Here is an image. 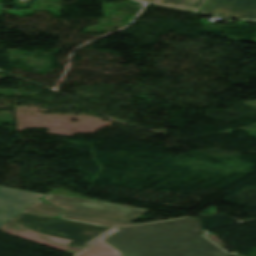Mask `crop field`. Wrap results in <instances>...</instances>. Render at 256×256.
<instances>
[{"instance_id": "obj_1", "label": "crop field", "mask_w": 256, "mask_h": 256, "mask_svg": "<svg viewBox=\"0 0 256 256\" xmlns=\"http://www.w3.org/2000/svg\"><path fill=\"white\" fill-rule=\"evenodd\" d=\"M194 218L121 228L102 239L122 256H218Z\"/></svg>"}, {"instance_id": "obj_2", "label": "crop field", "mask_w": 256, "mask_h": 256, "mask_svg": "<svg viewBox=\"0 0 256 256\" xmlns=\"http://www.w3.org/2000/svg\"><path fill=\"white\" fill-rule=\"evenodd\" d=\"M48 201L67 210L62 218L108 226H122L148 210L48 194Z\"/></svg>"}, {"instance_id": "obj_3", "label": "crop field", "mask_w": 256, "mask_h": 256, "mask_svg": "<svg viewBox=\"0 0 256 256\" xmlns=\"http://www.w3.org/2000/svg\"><path fill=\"white\" fill-rule=\"evenodd\" d=\"M11 220L43 234L73 240L67 246L82 250L117 230L26 213Z\"/></svg>"}, {"instance_id": "obj_4", "label": "crop field", "mask_w": 256, "mask_h": 256, "mask_svg": "<svg viewBox=\"0 0 256 256\" xmlns=\"http://www.w3.org/2000/svg\"><path fill=\"white\" fill-rule=\"evenodd\" d=\"M200 13L256 20V0H208Z\"/></svg>"}, {"instance_id": "obj_5", "label": "crop field", "mask_w": 256, "mask_h": 256, "mask_svg": "<svg viewBox=\"0 0 256 256\" xmlns=\"http://www.w3.org/2000/svg\"><path fill=\"white\" fill-rule=\"evenodd\" d=\"M44 195L0 186V220L8 221Z\"/></svg>"}, {"instance_id": "obj_6", "label": "crop field", "mask_w": 256, "mask_h": 256, "mask_svg": "<svg viewBox=\"0 0 256 256\" xmlns=\"http://www.w3.org/2000/svg\"><path fill=\"white\" fill-rule=\"evenodd\" d=\"M161 6L198 12L207 0H141Z\"/></svg>"}, {"instance_id": "obj_7", "label": "crop field", "mask_w": 256, "mask_h": 256, "mask_svg": "<svg viewBox=\"0 0 256 256\" xmlns=\"http://www.w3.org/2000/svg\"><path fill=\"white\" fill-rule=\"evenodd\" d=\"M77 256H121L101 240Z\"/></svg>"}, {"instance_id": "obj_8", "label": "crop field", "mask_w": 256, "mask_h": 256, "mask_svg": "<svg viewBox=\"0 0 256 256\" xmlns=\"http://www.w3.org/2000/svg\"><path fill=\"white\" fill-rule=\"evenodd\" d=\"M23 212L54 217L63 212V210L38 201Z\"/></svg>"}, {"instance_id": "obj_9", "label": "crop field", "mask_w": 256, "mask_h": 256, "mask_svg": "<svg viewBox=\"0 0 256 256\" xmlns=\"http://www.w3.org/2000/svg\"><path fill=\"white\" fill-rule=\"evenodd\" d=\"M38 234H40V233H38ZM40 235H42V236H44V237H46V238H48V239H50V240H52L54 242L61 243V244H64V245H66V244H68L70 242L69 240H64V239H59V238H55V237H50V236H46V235H43V234H40Z\"/></svg>"}, {"instance_id": "obj_10", "label": "crop field", "mask_w": 256, "mask_h": 256, "mask_svg": "<svg viewBox=\"0 0 256 256\" xmlns=\"http://www.w3.org/2000/svg\"><path fill=\"white\" fill-rule=\"evenodd\" d=\"M219 256H227L225 252L223 251Z\"/></svg>"}, {"instance_id": "obj_11", "label": "crop field", "mask_w": 256, "mask_h": 256, "mask_svg": "<svg viewBox=\"0 0 256 256\" xmlns=\"http://www.w3.org/2000/svg\"><path fill=\"white\" fill-rule=\"evenodd\" d=\"M4 223H6L5 221H0V226H2Z\"/></svg>"}]
</instances>
